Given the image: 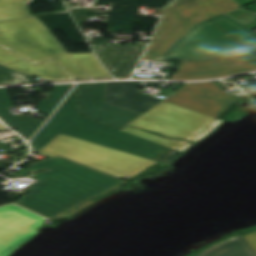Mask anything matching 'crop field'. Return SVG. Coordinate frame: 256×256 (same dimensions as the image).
Wrapping results in <instances>:
<instances>
[{"label":"crop field","mask_w":256,"mask_h":256,"mask_svg":"<svg viewBox=\"0 0 256 256\" xmlns=\"http://www.w3.org/2000/svg\"><path fill=\"white\" fill-rule=\"evenodd\" d=\"M0 64L52 82L111 77L93 53L68 54L35 17L0 22Z\"/></svg>","instance_id":"1"},{"label":"crop field","mask_w":256,"mask_h":256,"mask_svg":"<svg viewBox=\"0 0 256 256\" xmlns=\"http://www.w3.org/2000/svg\"><path fill=\"white\" fill-rule=\"evenodd\" d=\"M42 168L51 171L32 174ZM29 174L39 181L15 203L49 219L125 182L62 157L32 164Z\"/></svg>","instance_id":"2"},{"label":"crop field","mask_w":256,"mask_h":256,"mask_svg":"<svg viewBox=\"0 0 256 256\" xmlns=\"http://www.w3.org/2000/svg\"><path fill=\"white\" fill-rule=\"evenodd\" d=\"M76 91L77 87L51 121L30 142L34 151L39 150L58 133H63L160 162L176 152L122 130L119 131L79 116L75 106Z\"/></svg>","instance_id":"3"},{"label":"crop field","mask_w":256,"mask_h":256,"mask_svg":"<svg viewBox=\"0 0 256 256\" xmlns=\"http://www.w3.org/2000/svg\"><path fill=\"white\" fill-rule=\"evenodd\" d=\"M37 153L62 155L115 176L135 177L157 161L58 134Z\"/></svg>","instance_id":"4"},{"label":"crop field","mask_w":256,"mask_h":256,"mask_svg":"<svg viewBox=\"0 0 256 256\" xmlns=\"http://www.w3.org/2000/svg\"><path fill=\"white\" fill-rule=\"evenodd\" d=\"M190 7L198 14H177L181 9ZM237 8L239 5L234 0H183L171 4L164 13L143 58L156 60L195 23Z\"/></svg>","instance_id":"5"},{"label":"crop field","mask_w":256,"mask_h":256,"mask_svg":"<svg viewBox=\"0 0 256 256\" xmlns=\"http://www.w3.org/2000/svg\"><path fill=\"white\" fill-rule=\"evenodd\" d=\"M246 49L248 48L206 20L190 28L157 60H204Z\"/></svg>","instance_id":"6"},{"label":"crop field","mask_w":256,"mask_h":256,"mask_svg":"<svg viewBox=\"0 0 256 256\" xmlns=\"http://www.w3.org/2000/svg\"><path fill=\"white\" fill-rule=\"evenodd\" d=\"M212 119L162 101L128 125L189 140Z\"/></svg>","instance_id":"7"},{"label":"crop field","mask_w":256,"mask_h":256,"mask_svg":"<svg viewBox=\"0 0 256 256\" xmlns=\"http://www.w3.org/2000/svg\"><path fill=\"white\" fill-rule=\"evenodd\" d=\"M165 102L216 118L235 101L213 82H207L186 84Z\"/></svg>","instance_id":"8"},{"label":"crop field","mask_w":256,"mask_h":256,"mask_svg":"<svg viewBox=\"0 0 256 256\" xmlns=\"http://www.w3.org/2000/svg\"><path fill=\"white\" fill-rule=\"evenodd\" d=\"M105 87L106 83L79 85L78 103L83 115L118 129L141 115L104 102Z\"/></svg>","instance_id":"9"},{"label":"crop field","mask_w":256,"mask_h":256,"mask_svg":"<svg viewBox=\"0 0 256 256\" xmlns=\"http://www.w3.org/2000/svg\"><path fill=\"white\" fill-rule=\"evenodd\" d=\"M42 219L15 205L0 208V256L42 226Z\"/></svg>","instance_id":"10"},{"label":"crop field","mask_w":256,"mask_h":256,"mask_svg":"<svg viewBox=\"0 0 256 256\" xmlns=\"http://www.w3.org/2000/svg\"><path fill=\"white\" fill-rule=\"evenodd\" d=\"M252 69L256 66L233 53L205 61H183L172 79L219 77Z\"/></svg>","instance_id":"11"},{"label":"crop field","mask_w":256,"mask_h":256,"mask_svg":"<svg viewBox=\"0 0 256 256\" xmlns=\"http://www.w3.org/2000/svg\"><path fill=\"white\" fill-rule=\"evenodd\" d=\"M146 44H132L128 47L94 46L103 65L115 76H130Z\"/></svg>","instance_id":"12"},{"label":"crop field","mask_w":256,"mask_h":256,"mask_svg":"<svg viewBox=\"0 0 256 256\" xmlns=\"http://www.w3.org/2000/svg\"><path fill=\"white\" fill-rule=\"evenodd\" d=\"M137 87H143L142 82L107 83L105 101L141 114L162 101L137 94Z\"/></svg>","instance_id":"13"},{"label":"crop field","mask_w":256,"mask_h":256,"mask_svg":"<svg viewBox=\"0 0 256 256\" xmlns=\"http://www.w3.org/2000/svg\"><path fill=\"white\" fill-rule=\"evenodd\" d=\"M12 103L4 88H0V118L12 129H16L25 139H30L33 134L41 127L44 121L37 120L24 115L15 116L8 108Z\"/></svg>","instance_id":"14"},{"label":"crop field","mask_w":256,"mask_h":256,"mask_svg":"<svg viewBox=\"0 0 256 256\" xmlns=\"http://www.w3.org/2000/svg\"><path fill=\"white\" fill-rule=\"evenodd\" d=\"M209 20L249 49L256 47V34L228 15L224 14Z\"/></svg>","instance_id":"15"},{"label":"crop field","mask_w":256,"mask_h":256,"mask_svg":"<svg viewBox=\"0 0 256 256\" xmlns=\"http://www.w3.org/2000/svg\"><path fill=\"white\" fill-rule=\"evenodd\" d=\"M200 256H256V253L241 235L209 248Z\"/></svg>","instance_id":"16"},{"label":"crop field","mask_w":256,"mask_h":256,"mask_svg":"<svg viewBox=\"0 0 256 256\" xmlns=\"http://www.w3.org/2000/svg\"><path fill=\"white\" fill-rule=\"evenodd\" d=\"M33 0H0V21L31 17L27 5Z\"/></svg>","instance_id":"17"},{"label":"crop field","mask_w":256,"mask_h":256,"mask_svg":"<svg viewBox=\"0 0 256 256\" xmlns=\"http://www.w3.org/2000/svg\"><path fill=\"white\" fill-rule=\"evenodd\" d=\"M71 86L72 85L55 86L53 92L50 94L51 98L43 100L38 104L40 113L50 115Z\"/></svg>","instance_id":"18"},{"label":"crop field","mask_w":256,"mask_h":256,"mask_svg":"<svg viewBox=\"0 0 256 256\" xmlns=\"http://www.w3.org/2000/svg\"><path fill=\"white\" fill-rule=\"evenodd\" d=\"M122 130L130 132V133L135 134V135H138L140 137L146 138L148 140L154 141L156 143L162 144L164 146L170 147L172 149L177 148L178 146H180L181 144H183L185 142V141H179V140L164 139L162 137L150 134L146 131L137 130V129L131 128L129 126H127L126 128H124Z\"/></svg>","instance_id":"19"},{"label":"crop field","mask_w":256,"mask_h":256,"mask_svg":"<svg viewBox=\"0 0 256 256\" xmlns=\"http://www.w3.org/2000/svg\"><path fill=\"white\" fill-rule=\"evenodd\" d=\"M222 121L215 119L211 121L204 129H202L199 133H197L193 138H191L189 141L195 143L199 141L203 136L210 133L214 128H216Z\"/></svg>","instance_id":"20"},{"label":"crop field","mask_w":256,"mask_h":256,"mask_svg":"<svg viewBox=\"0 0 256 256\" xmlns=\"http://www.w3.org/2000/svg\"><path fill=\"white\" fill-rule=\"evenodd\" d=\"M14 81L10 70L0 65V84H15Z\"/></svg>","instance_id":"21"},{"label":"crop field","mask_w":256,"mask_h":256,"mask_svg":"<svg viewBox=\"0 0 256 256\" xmlns=\"http://www.w3.org/2000/svg\"><path fill=\"white\" fill-rule=\"evenodd\" d=\"M237 54L242 56L243 58H245L252 64L256 65V58L251 54V52L249 50L238 52Z\"/></svg>","instance_id":"22"},{"label":"crop field","mask_w":256,"mask_h":256,"mask_svg":"<svg viewBox=\"0 0 256 256\" xmlns=\"http://www.w3.org/2000/svg\"><path fill=\"white\" fill-rule=\"evenodd\" d=\"M256 252V232L243 235Z\"/></svg>","instance_id":"23"},{"label":"crop field","mask_w":256,"mask_h":256,"mask_svg":"<svg viewBox=\"0 0 256 256\" xmlns=\"http://www.w3.org/2000/svg\"><path fill=\"white\" fill-rule=\"evenodd\" d=\"M36 233H38V231L32 233L30 236H28L27 238H25L23 241H21L20 243H18L16 246H14L11 250H9L5 255L3 256H8L10 253H12L16 248H18L20 245H22L23 243L27 242L33 235H35ZM34 237V236H33Z\"/></svg>","instance_id":"24"},{"label":"crop field","mask_w":256,"mask_h":256,"mask_svg":"<svg viewBox=\"0 0 256 256\" xmlns=\"http://www.w3.org/2000/svg\"><path fill=\"white\" fill-rule=\"evenodd\" d=\"M180 155H181V153L177 152V153H175L174 155H172L170 158H168L167 160H165L163 163L167 164V163L173 161L175 158H177V157L180 156Z\"/></svg>","instance_id":"25"},{"label":"crop field","mask_w":256,"mask_h":256,"mask_svg":"<svg viewBox=\"0 0 256 256\" xmlns=\"http://www.w3.org/2000/svg\"><path fill=\"white\" fill-rule=\"evenodd\" d=\"M192 143L186 142L183 145H181L180 147H178L177 149H175L176 151H183L184 149H186L188 146H190Z\"/></svg>","instance_id":"26"},{"label":"crop field","mask_w":256,"mask_h":256,"mask_svg":"<svg viewBox=\"0 0 256 256\" xmlns=\"http://www.w3.org/2000/svg\"><path fill=\"white\" fill-rule=\"evenodd\" d=\"M179 13H196L192 8L181 10Z\"/></svg>","instance_id":"27"},{"label":"crop field","mask_w":256,"mask_h":256,"mask_svg":"<svg viewBox=\"0 0 256 256\" xmlns=\"http://www.w3.org/2000/svg\"><path fill=\"white\" fill-rule=\"evenodd\" d=\"M169 4L175 2V1H179V0H167Z\"/></svg>","instance_id":"28"},{"label":"crop field","mask_w":256,"mask_h":256,"mask_svg":"<svg viewBox=\"0 0 256 256\" xmlns=\"http://www.w3.org/2000/svg\"><path fill=\"white\" fill-rule=\"evenodd\" d=\"M251 51L254 53V55L256 56V48L255 49H251Z\"/></svg>","instance_id":"29"},{"label":"crop field","mask_w":256,"mask_h":256,"mask_svg":"<svg viewBox=\"0 0 256 256\" xmlns=\"http://www.w3.org/2000/svg\"><path fill=\"white\" fill-rule=\"evenodd\" d=\"M0 130H7V128H0Z\"/></svg>","instance_id":"30"},{"label":"crop field","mask_w":256,"mask_h":256,"mask_svg":"<svg viewBox=\"0 0 256 256\" xmlns=\"http://www.w3.org/2000/svg\"><path fill=\"white\" fill-rule=\"evenodd\" d=\"M0 127H4V126H2V125L0 124Z\"/></svg>","instance_id":"31"}]
</instances>
